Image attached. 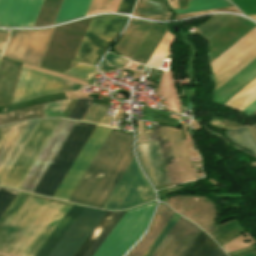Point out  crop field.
<instances>
[{
	"mask_svg": "<svg viewBox=\"0 0 256 256\" xmlns=\"http://www.w3.org/2000/svg\"><path fill=\"white\" fill-rule=\"evenodd\" d=\"M133 157L131 134L112 129L69 201L102 208Z\"/></svg>",
	"mask_w": 256,
	"mask_h": 256,
	"instance_id": "1",
	"label": "crop field"
},
{
	"mask_svg": "<svg viewBox=\"0 0 256 256\" xmlns=\"http://www.w3.org/2000/svg\"><path fill=\"white\" fill-rule=\"evenodd\" d=\"M94 127V124L76 122L33 193L52 197Z\"/></svg>",
	"mask_w": 256,
	"mask_h": 256,
	"instance_id": "2",
	"label": "crop field"
},
{
	"mask_svg": "<svg viewBox=\"0 0 256 256\" xmlns=\"http://www.w3.org/2000/svg\"><path fill=\"white\" fill-rule=\"evenodd\" d=\"M154 203L126 211L93 256H122L144 232Z\"/></svg>",
	"mask_w": 256,
	"mask_h": 256,
	"instance_id": "3",
	"label": "crop field"
},
{
	"mask_svg": "<svg viewBox=\"0 0 256 256\" xmlns=\"http://www.w3.org/2000/svg\"><path fill=\"white\" fill-rule=\"evenodd\" d=\"M127 17L101 15L92 18L82 43L71 65L78 63L94 65L109 44L121 31Z\"/></svg>",
	"mask_w": 256,
	"mask_h": 256,
	"instance_id": "4",
	"label": "crop field"
},
{
	"mask_svg": "<svg viewBox=\"0 0 256 256\" xmlns=\"http://www.w3.org/2000/svg\"><path fill=\"white\" fill-rule=\"evenodd\" d=\"M153 198L154 194L134 158L103 208L121 210L151 201Z\"/></svg>",
	"mask_w": 256,
	"mask_h": 256,
	"instance_id": "5",
	"label": "crop field"
},
{
	"mask_svg": "<svg viewBox=\"0 0 256 256\" xmlns=\"http://www.w3.org/2000/svg\"><path fill=\"white\" fill-rule=\"evenodd\" d=\"M54 28L12 30L3 56L39 66Z\"/></svg>",
	"mask_w": 256,
	"mask_h": 256,
	"instance_id": "6",
	"label": "crop field"
},
{
	"mask_svg": "<svg viewBox=\"0 0 256 256\" xmlns=\"http://www.w3.org/2000/svg\"><path fill=\"white\" fill-rule=\"evenodd\" d=\"M81 85L22 67L10 105L51 93L79 90Z\"/></svg>",
	"mask_w": 256,
	"mask_h": 256,
	"instance_id": "7",
	"label": "crop field"
},
{
	"mask_svg": "<svg viewBox=\"0 0 256 256\" xmlns=\"http://www.w3.org/2000/svg\"><path fill=\"white\" fill-rule=\"evenodd\" d=\"M111 129L96 126L53 197L68 201Z\"/></svg>",
	"mask_w": 256,
	"mask_h": 256,
	"instance_id": "8",
	"label": "crop field"
},
{
	"mask_svg": "<svg viewBox=\"0 0 256 256\" xmlns=\"http://www.w3.org/2000/svg\"><path fill=\"white\" fill-rule=\"evenodd\" d=\"M58 122H59V120L39 121L38 128L36 126L37 130L35 128L34 129V131L36 130L35 133L33 131L34 135L32 133L31 136L32 135L33 136H32V138L30 136V138H31V139L29 138L30 141L28 139L29 143L27 141L26 142V144L28 143L27 146L25 144L26 148L30 149V147H31L32 143L34 142V140H35L37 135L42 136L41 139H40L39 136H37V138H36L35 142L33 143V145H32L30 150L24 149L25 148V146H24L22 151L18 155L17 159L15 160V162L32 166L33 162L35 161V159L37 158L38 154L40 153V151L42 150L43 146L45 145L46 141L48 140V138H46V137H50L51 133L53 132V130L56 127V125L58 124ZM45 138H46V140H45ZM38 140H39V142H38ZM43 141H44V143H43ZM37 142H38V144L36 145ZM42 143H43V145L41 146ZM35 145H36V147H35ZM40 146H41V148H40ZM33 148H34L35 151H38L39 148L40 149H39L38 152H35V151H32ZM11 168H10V170H11ZM29 169H30L29 166H25V165H21V164L15 163L14 167L12 168V170L11 171L9 170L10 171V173L8 172L9 175L8 176L6 175V176H7L8 179H12V180H16V181L22 182L23 178L25 177V175L27 174ZM5 178L2 181V183H1L2 186L18 189V187L20 185L19 182L7 180Z\"/></svg>",
	"mask_w": 256,
	"mask_h": 256,
	"instance_id": "9",
	"label": "crop field"
},
{
	"mask_svg": "<svg viewBox=\"0 0 256 256\" xmlns=\"http://www.w3.org/2000/svg\"><path fill=\"white\" fill-rule=\"evenodd\" d=\"M106 212L84 208L49 256H74Z\"/></svg>",
	"mask_w": 256,
	"mask_h": 256,
	"instance_id": "10",
	"label": "crop field"
},
{
	"mask_svg": "<svg viewBox=\"0 0 256 256\" xmlns=\"http://www.w3.org/2000/svg\"><path fill=\"white\" fill-rule=\"evenodd\" d=\"M74 124L75 122L73 121L60 120L48 142L20 185V190L32 192Z\"/></svg>",
	"mask_w": 256,
	"mask_h": 256,
	"instance_id": "11",
	"label": "crop field"
},
{
	"mask_svg": "<svg viewBox=\"0 0 256 256\" xmlns=\"http://www.w3.org/2000/svg\"><path fill=\"white\" fill-rule=\"evenodd\" d=\"M29 194L19 192L3 215L0 217V233L12 219L18 209L22 206L25 200L28 198ZM83 210V207L73 205L36 256H48L61 237L65 234L80 212Z\"/></svg>",
	"mask_w": 256,
	"mask_h": 256,
	"instance_id": "12",
	"label": "crop field"
},
{
	"mask_svg": "<svg viewBox=\"0 0 256 256\" xmlns=\"http://www.w3.org/2000/svg\"><path fill=\"white\" fill-rule=\"evenodd\" d=\"M43 0H0V26H33Z\"/></svg>",
	"mask_w": 256,
	"mask_h": 256,
	"instance_id": "13",
	"label": "crop field"
},
{
	"mask_svg": "<svg viewBox=\"0 0 256 256\" xmlns=\"http://www.w3.org/2000/svg\"><path fill=\"white\" fill-rule=\"evenodd\" d=\"M200 231L180 217L152 256H183Z\"/></svg>",
	"mask_w": 256,
	"mask_h": 256,
	"instance_id": "14",
	"label": "crop field"
},
{
	"mask_svg": "<svg viewBox=\"0 0 256 256\" xmlns=\"http://www.w3.org/2000/svg\"><path fill=\"white\" fill-rule=\"evenodd\" d=\"M136 154L154 186L169 182L157 141L137 144Z\"/></svg>",
	"mask_w": 256,
	"mask_h": 256,
	"instance_id": "15",
	"label": "crop field"
},
{
	"mask_svg": "<svg viewBox=\"0 0 256 256\" xmlns=\"http://www.w3.org/2000/svg\"><path fill=\"white\" fill-rule=\"evenodd\" d=\"M150 26V23L132 19L122 37L115 45V51L119 55L131 59Z\"/></svg>",
	"mask_w": 256,
	"mask_h": 256,
	"instance_id": "16",
	"label": "crop field"
},
{
	"mask_svg": "<svg viewBox=\"0 0 256 256\" xmlns=\"http://www.w3.org/2000/svg\"><path fill=\"white\" fill-rule=\"evenodd\" d=\"M175 212L163 204H159L158 211L152 225L143 239L127 254V256H143L170 218Z\"/></svg>",
	"mask_w": 256,
	"mask_h": 256,
	"instance_id": "17",
	"label": "crop field"
},
{
	"mask_svg": "<svg viewBox=\"0 0 256 256\" xmlns=\"http://www.w3.org/2000/svg\"><path fill=\"white\" fill-rule=\"evenodd\" d=\"M22 63L7 59L0 61V106L10 104Z\"/></svg>",
	"mask_w": 256,
	"mask_h": 256,
	"instance_id": "18",
	"label": "crop field"
},
{
	"mask_svg": "<svg viewBox=\"0 0 256 256\" xmlns=\"http://www.w3.org/2000/svg\"><path fill=\"white\" fill-rule=\"evenodd\" d=\"M256 57V41L214 74L216 89ZM256 59V58H255ZM245 68V67H244ZM234 77V76H233ZM223 86V85H222Z\"/></svg>",
	"mask_w": 256,
	"mask_h": 256,
	"instance_id": "19",
	"label": "crop field"
},
{
	"mask_svg": "<svg viewBox=\"0 0 256 256\" xmlns=\"http://www.w3.org/2000/svg\"><path fill=\"white\" fill-rule=\"evenodd\" d=\"M166 29V25L152 24L131 60L146 64Z\"/></svg>",
	"mask_w": 256,
	"mask_h": 256,
	"instance_id": "20",
	"label": "crop field"
},
{
	"mask_svg": "<svg viewBox=\"0 0 256 256\" xmlns=\"http://www.w3.org/2000/svg\"><path fill=\"white\" fill-rule=\"evenodd\" d=\"M159 145H160V149L165 161V165L169 174V178L171 181V185H177L180 184V178L177 172V168L174 162V158L171 152V148L168 142V138L165 132V128L164 127H159V126H155L153 124Z\"/></svg>",
	"mask_w": 256,
	"mask_h": 256,
	"instance_id": "21",
	"label": "crop field"
},
{
	"mask_svg": "<svg viewBox=\"0 0 256 256\" xmlns=\"http://www.w3.org/2000/svg\"><path fill=\"white\" fill-rule=\"evenodd\" d=\"M133 15L151 20H169L172 16L165 4L158 0H139Z\"/></svg>",
	"mask_w": 256,
	"mask_h": 256,
	"instance_id": "22",
	"label": "crop field"
},
{
	"mask_svg": "<svg viewBox=\"0 0 256 256\" xmlns=\"http://www.w3.org/2000/svg\"><path fill=\"white\" fill-rule=\"evenodd\" d=\"M26 123L27 121L0 127V166Z\"/></svg>",
	"mask_w": 256,
	"mask_h": 256,
	"instance_id": "23",
	"label": "crop field"
},
{
	"mask_svg": "<svg viewBox=\"0 0 256 256\" xmlns=\"http://www.w3.org/2000/svg\"><path fill=\"white\" fill-rule=\"evenodd\" d=\"M91 0H63L56 22L84 16Z\"/></svg>",
	"mask_w": 256,
	"mask_h": 256,
	"instance_id": "24",
	"label": "crop field"
},
{
	"mask_svg": "<svg viewBox=\"0 0 256 256\" xmlns=\"http://www.w3.org/2000/svg\"><path fill=\"white\" fill-rule=\"evenodd\" d=\"M37 123L38 121H28L27 125L0 168V183Z\"/></svg>",
	"mask_w": 256,
	"mask_h": 256,
	"instance_id": "25",
	"label": "crop field"
},
{
	"mask_svg": "<svg viewBox=\"0 0 256 256\" xmlns=\"http://www.w3.org/2000/svg\"><path fill=\"white\" fill-rule=\"evenodd\" d=\"M256 39V28L211 63L213 73Z\"/></svg>",
	"mask_w": 256,
	"mask_h": 256,
	"instance_id": "26",
	"label": "crop field"
},
{
	"mask_svg": "<svg viewBox=\"0 0 256 256\" xmlns=\"http://www.w3.org/2000/svg\"><path fill=\"white\" fill-rule=\"evenodd\" d=\"M28 118H45L44 104L0 114V125Z\"/></svg>",
	"mask_w": 256,
	"mask_h": 256,
	"instance_id": "27",
	"label": "crop field"
},
{
	"mask_svg": "<svg viewBox=\"0 0 256 256\" xmlns=\"http://www.w3.org/2000/svg\"><path fill=\"white\" fill-rule=\"evenodd\" d=\"M235 18H237V16L234 15H214L209 21L199 28L203 37L208 40Z\"/></svg>",
	"mask_w": 256,
	"mask_h": 256,
	"instance_id": "28",
	"label": "crop field"
},
{
	"mask_svg": "<svg viewBox=\"0 0 256 256\" xmlns=\"http://www.w3.org/2000/svg\"><path fill=\"white\" fill-rule=\"evenodd\" d=\"M215 246V242L204 232H201L184 256H209Z\"/></svg>",
	"mask_w": 256,
	"mask_h": 256,
	"instance_id": "29",
	"label": "crop field"
},
{
	"mask_svg": "<svg viewBox=\"0 0 256 256\" xmlns=\"http://www.w3.org/2000/svg\"><path fill=\"white\" fill-rule=\"evenodd\" d=\"M222 0H190L187 9L173 10L176 14L228 7Z\"/></svg>",
	"mask_w": 256,
	"mask_h": 256,
	"instance_id": "30",
	"label": "crop field"
},
{
	"mask_svg": "<svg viewBox=\"0 0 256 256\" xmlns=\"http://www.w3.org/2000/svg\"><path fill=\"white\" fill-rule=\"evenodd\" d=\"M230 140L239 146L247 148L256 154V144L249 135L246 127L224 133ZM236 144V145H237Z\"/></svg>",
	"mask_w": 256,
	"mask_h": 256,
	"instance_id": "31",
	"label": "crop field"
},
{
	"mask_svg": "<svg viewBox=\"0 0 256 256\" xmlns=\"http://www.w3.org/2000/svg\"><path fill=\"white\" fill-rule=\"evenodd\" d=\"M124 212L125 211L116 212L114 214V216L111 218V220L108 222V224L105 226V228L98 235V237L95 239V241L92 243V245L89 247V249L85 252L83 256H92V254L101 244V242L105 239V237L108 235V233L111 231V229L114 227V225L117 223V221L120 219Z\"/></svg>",
	"mask_w": 256,
	"mask_h": 256,
	"instance_id": "32",
	"label": "crop field"
},
{
	"mask_svg": "<svg viewBox=\"0 0 256 256\" xmlns=\"http://www.w3.org/2000/svg\"><path fill=\"white\" fill-rule=\"evenodd\" d=\"M105 113L106 110L91 104L81 120L106 125L109 119L103 118Z\"/></svg>",
	"mask_w": 256,
	"mask_h": 256,
	"instance_id": "33",
	"label": "crop field"
},
{
	"mask_svg": "<svg viewBox=\"0 0 256 256\" xmlns=\"http://www.w3.org/2000/svg\"><path fill=\"white\" fill-rule=\"evenodd\" d=\"M114 213L115 212H107L106 213V215L103 217V219L97 225V227L94 229V231L88 237V239L84 242V244L81 246V248L75 254V256H82L84 254V252L88 249V247L91 245V243L97 237V235L101 232V230L104 228V226L107 224V222L110 220V218L113 216Z\"/></svg>",
	"mask_w": 256,
	"mask_h": 256,
	"instance_id": "34",
	"label": "crop field"
},
{
	"mask_svg": "<svg viewBox=\"0 0 256 256\" xmlns=\"http://www.w3.org/2000/svg\"><path fill=\"white\" fill-rule=\"evenodd\" d=\"M178 214H174V216L171 218V220L168 222V224L165 226V228L162 230V232L159 234V236L156 238V240L153 242V244L150 246V248L147 250V252L144 254V256H151L153 252L156 250V248L159 246V244L162 242V240L165 238L167 233L170 231V229L173 227V225L176 223V221L179 219Z\"/></svg>",
	"mask_w": 256,
	"mask_h": 256,
	"instance_id": "35",
	"label": "crop field"
},
{
	"mask_svg": "<svg viewBox=\"0 0 256 256\" xmlns=\"http://www.w3.org/2000/svg\"><path fill=\"white\" fill-rule=\"evenodd\" d=\"M91 102V100L87 99H77V101L73 105L72 109L70 110L66 118L80 120V118L87 110Z\"/></svg>",
	"mask_w": 256,
	"mask_h": 256,
	"instance_id": "36",
	"label": "crop field"
},
{
	"mask_svg": "<svg viewBox=\"0 0 256 256\" xmlns=\"http://www.w3.org/2000/svg\"><path fill=\"white\" fill-rule=\"evenodd\" d=\"M64 74L81 78L87 81L91 76L97 74V72L95 71V68H91L83 65H77L71 68L70 70L64 72Z\"/></svg>",
	"mask_w": 256,
	"mask_h": 256,
	"instance_id": "37",
	"label": "crop field"
},
{
	"mask_svg": "<svg viewBox=\"0 0 256 256\" xmlns=\"http://www.w3.org/2000/svg\"><path fill=\"white\" fill-rule=\"evenodd\" d=\"M245 15L256 14V0H230Z\"/></svg>",
	"mask_w": 256,
	"mask_h": 256,
	"instance_id": "38",
	"label": "crop field"
},
{
	"mask_svg": "<svg viewBox=\"0 0 256 256\" xmlns=\"http://www.w3.org/2000/svg\"><path fill=\"white\" fill-rule=\"evenodd\" d=\"M18 192L0 188V216Z\"/></svg>",
	"mask_w": 256,
	"mask_h": 256,
	"instance_id": "39",
	"label": "crop field"
},
{
	"mask_svg": "<svg viewBox=\"0 0 256 256\" xmlns=\"http://www.w3.org/2000/svg\"><path fill=\"white\" fill-rule=\"evenodd\" d=\"M104 59L107 60L110 65L120 67V68H123V66L126 62V59L121 58V57L111 54V53H108Z\"/></svg>",
	"mask_w": 256,
	"mask_h": 256,
	"instance_id": "40",
	"label": "crop field"
},
{
	"mask_svg": "<svg viewBox=\"0 0 256 256\" xmlns=\"http://www.w3.org/2000/svg\"><path fill=\"white\" fill-rule=\"evenodd\" d=\"M135 2H136V0H121L116 12L130 14L132 8L134 7Z\"/></svg>",
	"mask_w": 256,
	"mask_h": 256,
	"instance_id": "41",
	"label": "crop field"
},
{
	"mask_svg": "<svg viewBox=\"0 0 256 256\" xmlns=\"http://www.w3.org/2000/svg\"><path fill=\"white\" fill-rule=\"evenodd\" d=\"M210 256H226V255L221 251V249L218 246H216V248L213 250Z\"/></svg>",
	"mask_w": 256,
	"mask_h": 256,
	"instance_id": "42",
	"label": "crop field"
},
{
	"mask_svg": "<svg viewBox=\"0 0 256 256\" xmlns=\"http://www.w3.org/2000/svg\"><path fill=\"white\" fill-rule=\"evenodd\" d=\"M145 133L148 141L157 140L153 131H146Z\"/></svg>",
	"mask_w": 256,
	"mask_h": 256,
	"instance_id": "43",
	"label": "crop field"
},
{
	"mask_svg": "<svg viewBox=\"0 0 256 256\" xmlns=\"http://www.w3.org/2000/svg\"><path fill=\"white\" fill-rule=\"evenodd\" d=\"M109 68L110 66H108L105 60H103L102 64L99 67L101 72H106L107 70H109Z\"/></svg>",
	"mask_w": 256,
	"mask_h": 256,
	"instance_id": "44",
	"label": "crop field"
},
{
	"mask_svg": "<svg viewBox=\"0 0 256 256\" xmlns=\"http://www.w3.org/2000/svg\"><path fill=\"white\" fill-rule=\"evenodd\" d=\"M255 110H256V101L252 105H250L246 110H244V112L252 113Z\"/></svg>",
	"mask_w": 256,
	"mask_h": 256,
	"instance_id": "45",
	"label": "crop field"
},
{
	"mask_svg": "<svg viewBox=\"0 0 256 256\" xmlns=\"http://www.w3.org/2000/svg\"><path fill=\"white\" fill-rule=\"evenodd\" d=\"M168 2L170 4V6L172 7V9H179L176 0H168Z\"/></svg>",
	"mask_w": 256,
	"mask_h": 256,
	"instance_id": "46",
	"label": "crop field"
},
{
	"mask_svg": "<svg viewBox=\"0 0 256 256\" xmlns=\"http://www.w3.org/2000/svg\"><path fill=\"white\" fill-rule=\"evenodd\" d=\"M249 17H251V18L256 20V15H252V16H249Z\"/></svg>",
	"mask_w": 256,
	"mask_h": 256,
	"instance_id": "47",
	"label": "crop field"
},
{
	"mask_svg": "<svg viewBox=\"0 0 256 256\" xmlns=\"http://www.w3.org/2000/svg\"><path fill=\"white\" fill-rule=\"evenodd\" d=\"M0 32H4V33H7V34H8V32H5V31H0Z\"/></svg>",
	"mask_w": 256,
	"mask_h": 256,
	"instance_id": "48",
	"label": "crop field"
},
{
	"mask_svg": "<svg viewBox=\"0 0 256 256\" xmlns=\"http://www.w3.org/2000/svg\"><path fill=\"white\" fill-rule=\"evenodd\" d=\"M253 114H256V111H255V112H253Z\"/></svg>",
	"mask_w": 256,
	"mask_h": 256,
	"instance_id": "49",
	"label": "crop field"
},
{
	"mask_svg": "<svg viewBox=\"0 0 256 256\" xmlns=\"http://www.w3.org/2000/svg\"><path fill=\"white\" fill-rule=\"evenodd\" d=\"M256 127V126H255Z\"/></svg>",
	"mask_w": 256,
	"mask_h": 256,
	"instance_id": "50",
	"label": "crop field"
}]
</instances>
